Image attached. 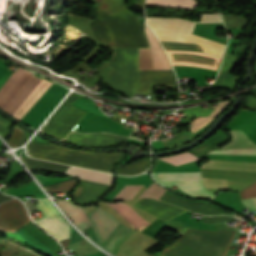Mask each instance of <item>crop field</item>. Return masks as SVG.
<instances>
[{
	"mask_svg": "<svg viewBox=\"0 0 256 256\" xmlns=\"http://www.w3.org/2000/svg\"><path fill=\"white\" fill-rule=\"evenodd\" d=\"M140 81L136 92H150L152 84L176 86L172 70H139Z\"/></svg>",
	"mask_w": 256,
	"mask_h": 256,
	"instance_id": "crop-field-14",
	"label": "crop field"
},
{
	"mask_svg": "<svg viewBox=\"0 0 256 256\" xmlns=\"http://www.w3.org/2000/svg\"><path fill=\"white\" fill-rule=\"evenodd\" d=\"M9 199H12V198H8V197L1 196V195H0V203L5 202V201H7V200H9Z\"/></svg>",
	"mask_w": 256,
	"mask_h": 256,
	"instance_id": "crop-field-39",
	"label": "crop field"
},
{
	"mask_svg": "<svg viewBox=\"0 0 256 256\" xmlns=\"http://www.w3.org/2000/svg\"><path fill=\"white\" fill-rule=\"evenodd\" d=\"M209 154H244V155H256V149H244V150H221L212 151Z\"/></svg>",
	"mask_w": 256,
	"mask_h": 256,
	"instance_id": "crop-field-33",
	"label": "crop field"
},
{
	"mask_svg": "<svg viewBox=\"0 0 256 256\" xmlns=\"http://www.w3.org/2000/svg\"><path fill=\"white\" fill-rule=\"evenodd\" d=\"M109 203L119 214L131 222L138 230H142L150 223L134 212L130 207L121 202H107Z\"/></svg>",
	"mask_w": 256,
	"mask_h": 256,
	"instance_id": "crop-field-19",
	"label": "crop field"
},
{
	"mask_svg": "<svg viewBox=\"0 0 256 256\" xmlns=\"http://www.w3.org/2000/svg\"><path fill=\"white\" fill-rule=\"evenodd\" d=\"M239 194L241 199L256 197V181L239 191Z\"/></svg>",
	"mask_w": 256,
	"mask_h": 256,
	"instance_id": "crop-field-34",
	"label": "crop field"
},
{
	"mask_svg": "<svg viewBox=\"0 0 256 256\" xmlns=\"http://www.w3.org/2000/svg\"><path fill=\"white\" fill-rule=\"evenodd\" d=\"M9 126H10V123H8L7 121H5L3 118L0 117V134L2 135L3 138Z\"/></svg>",
	"mask_w": 256,
	"mask_h": 256,
	"instance_id": "crop-field-37",
	"label": "crop field"
},
{
	"mask_svg": "<svg viewBox=\"0 0 256 256\" xmlns=\"http://www.w3.org/2000/svg\"><path fill=\"white\" fill-rule=\"evenodd\" d=\"M139 69H152L149 49H139Z\"/></svg>",
	"mask_w": 256,
	"mask_h": 256,
	"instance_id": "crop-field-31",
	"label": "crop field"
},
{
	"mask_svg": "<svg viewBox=\"0 0 256 256\" xmlns=\"http://www.w3.org/2000/svg\"><path fill=\"white\" fill-rule=\"evenodd\" d=\"M109 186L83 181L78 188L72 193L74 198L80 203H89L96 199L97 196L101 195Z\"/></svg>",
	"mask_w": 256,
	"mask_h": 256,
	"instance_id": "crop-field-17",
	"label": "crop field"
},
{
	"mask_svg": "<svg viewBox=\"0 0 256 256\" xmlns=\"http://www.w3.org/2000/svg\"><path fill=\"white\" fill-rule=\"evenodd\" d=\"M132 231V229L120 224L107 239L104 247L110 252Z\"/></svg>",
	"mask_w": 256,
	"mask_h": 256,
	"instance_id": "crop-field-25",
	"label": "crop field"
},
{
	"mask_svg": "<svg viewBox=\"0 0 256 256\" xmlns=\"http://www.w3.org/2000/svg\"><path fill=\"white\" fill-rule=\"evenodd\" d=\"M143 25L126 8L111 16L95 7L94 21L89 27L94 37L103 45L148 47Z\"/></svg>",
	"mask_w": 256,
	"mask_h": 256,
	"instance_id": "crop-field-1",
	"label": "crop field"
},
{
	"mask_svg": "<svg viewBox=\"0 0 256 256\" xmlns=\"http://www.w3.org/2000/svg\"><path fill=\"white\" fill-rule=\"evenodd\" d=\"M29 221L24 207L18 200L0 204L1 232H15Z\"/></svg>",
	"mask_w": 256,
	"mask_h": 256,
	"instance_id": "crop-field-12",
	"label": "crop field"
},
{
	"mask_svg": "<svg viewBox=\"0 0 256 256\" xmlns=\"http://www.w3.org/2000/svg\"><path fill=\"white\" fill-rule=\"evenodd\" d=\"M226 27H246V17L221 14Z\"/></svg>",
	"mask_w": 256,
	"mask_h": 256,
	"instance_id": "crop-field-30",
	"label": "crop field"
},
{
	"mask_svg": "<svg viewBox=\"0 0 256 256\" xmlns=\"http://www.w3.org/2000/svg\"><path fill=\"white\" fill-rule=\"evenodd\" d=\"M28 155L51 161L69 163L86 168L111 171L113 164L123 153H89L75 151L54 144H36L30 141L26 145Z\"/></svg>",
	"mask_w": 256,
	"mask_h": 256,
	"instance_id": "crop-field-4",
	"label": "crop field"
},
{
	"mask_svg": "<svg viewBox=\"0 0 256 256\" xmlns=\"http://www.w3.org/2000/svg\"><path fill=\"white\" fill-rule=\"evenodd\" d=\"M222 22L220 15L203 14L199 22L174 18H147V25L159 40L196 43L204 53L222 56L225 45L191 34L195 23Z\"/></svg>",
	"mask_w": 256,
	"mask_h": 256,
	"instance_id": "crop-field-2",
	"label": "crop field"
},
{
	"mask_svg": "<svg viewBox=\"0 0 256 256\" xmlns=\"http://www.w3.org/2000/svg\"><path fill=\"white\" fill-rule=\"evenodd\" d=\"M36 206L45 215L35 221L37 225L52 234L59 241L69 238V224L52 206L48 199H37Z\"/></svg>",
	"mask_w": 256,
	"mask_h": 256,
	"instance_id": "crop-field-11",
	"label": "crop field"
},
{
	"mask_svg": "<svg viewBox=\"0 0 256 256\" xmlns=\"http://www.w3.org/2000/svg\"><path fill=\"white\" fill-rule=\"evenodd\" d=\"M146 4L193 9L198 6L195 0H147Z\"/></svg>",
	"mask_w": 256,
	"mask_h": 256,
	"instance_id": "crop-field-26",
	"label": "crop field"
},
{
	"mask_svg": "<svg viewBox=\"0 0 256 256\" xmlns=\"http://www.w3.org/2000/svg\"><path fill=\"white\" fill-rule=\"evenodd\" d=\"M66 173L75 175L84 180L94 181L98 183L108 184L110 185L112 182V175L105 173H98L78 168L70 167Z\"/></svg>",
	"mask_w": 256,
	"mask_h": 256,
	"instance_id": "crop-field-20",
	"label": "crop field"
},
{
	"mask_svg": "<svg viewBox=\"0 0 256 256\" xmlns=\"http://www.w3.org/2000/svg\"><path fill=\"white\" fill-rule=\"evenodd\" d=\"M75 180L69 179L56 184L45 186L49 192L69 190L74 184Z\"/></svg>",
	"mask_w": 256,
	"mask_h": 256,
	"instance_id": "crop-field-32",
	"label": "crop field"
},
{
	"mask_svg": "<svg viewBox=\"0 0 256 256\" xmlns=\"http://www.w3.org/2000/svg\"><path fill=\"white\" fill-rule=\"evenodd\" d=\"M128 138L115 136L109 133L77 134L70 133L65 141L90 146H112L116 143L127 141Z\"/></svg>",
	"mask_w": 256,
	"mask_h": 256,
	"instance_id": "crop-field-13",
	"label": "crop field"
},
{
	"mask_svg": "<svg viewBox=\"0 0 256 256\" xmlns=\"http://www.w3.org/2000/svg\"><path fill=\"white\" fill-rule=\"evenodd\" d=\"M236 57L237 55H234V54H228V53L224 54V58L219 71V78L216 85L221 86L223 82L226 80L228 74L232 69V63Z\"/></svg>",
	"mask_w": 256,
	"mask_h": 256,
	"instance_id": "crop-field-27",
	"label": "crop field"
},
{
	"mask_svg": "<svg viewBox=\"0 0 256 256\" xmlns=\"http://www.w3.org/2000/svg\"><path fill=\"white\" fill-rule=\"evenodd\" d=\"M236 220V218L231 216H216V217H208L204 216L202 223H218L224 221Z\"/></svg>",
	"mask_w": 256,
	"mask_h": 256,
	"instance_id": "crop-field-36",
	"label": "crop field"
},
{
	"mask_svg": "<svg viewBox=\"0 0 256 256\" xmlns=\"http://www.w3.org/2000/svg\"><path fill=\"white\" fill-rule=\"evenodd\" d=\"M137 53L138 49L116 48L110 63L115 70L106 83L127 97H132L138 81Z\"/></svg>",
	"mask_w": 256,
	"mask_h": 256,
	"instance_id": "crop-field-5",
	"label": "crop field"
},
{
	"mask_svg": "<svg viewBox=\"0 0 256 256\" xmlns=\"http://www.w3.org/2000/svg\"><path fill=\"white\" fill-rule=\"evenodd\" d=\"M21 158L30 170L46 171L48 173H64L66 169L69 167L66 165L37 161L23 157Z\"/></svg>",
	"mask_w": 256,
	"mask_h": 256,
	"instance_id": "crop-field-21",
	"label": "crop field"
},
{
	"mask_svg": "<svg viewBox=\"0 0 256 256\" xmlns=\"http://www.w3.org/2000/svg\"><path fill=\"white\" fill-rule=\"evenodd\" d=\"M232 134V140L230 143H227L223 145L220 148H216V150L220 149H243V148H256V145H254L248 137L245 135L244 132L233 130L230 131Z\"/></svg>",
	"mask_w": 256,
	"mask_h": 256,
	"instance_id": "crop-field-22",
	"label": "crop field"
},
{
	"mask_svg": "<svg viewBox=\"0 0 256 256\" xmlns=\"http://www.w3.org/2000/svg\"><path fill=\"white\" fill-rule=\"evenodd\" d=\"M247 207L256 210V198L241 200Z\"/></svg>",
	"mask_w": 256,
	"mask_h": 256,
	"instance_id": "crop-field-38",
	"label": "crop field"
},
{
	"mask_svg": "<svg viewBox=\"0 0 256 256\" xmlns=\"http://www.w3.org/2000/svg\"><path fill=\"white\" fill-rule=\"evenodd\" d=\"M172 65L199 66L216 70L221 58L204 54L195 45L161 42Z\"/></svg>",
	"mask_w": 256,
	"mask_h": 256,
	"instance_id": "crop-field-8",
	"label": "crop field"
},
{
	"mask_svg": "<svg viewBox=\"0 0 256 256\" xmlns=\"http://www.w3.org/2000/svg\"><path fill=\"white\" fill-rule=\"evenodd\" d=\"M134 206L138 207L139 209L149 213L150 215L163 219V220H170L179 214L185 212L186 210L162 204L150 199L140 200Z\"/></svg>",
	"mask_w": 256,
	"mask_h": 256,
	"instance_id": "crop-field-15",
	"label": "crop field"
},
{
	"mask_svg": "<svg viewBox=\"0 0 256 256\" xmlns=\"http://www.w3.org/2000/svg\"><path fill=\"white\" fill-rule=\"evenodd\" d=\"M23 130L17 128V127H14L13 131H12V134L8 140V142L10 143V145L12 147H17L18 144H19V141L22 137V134H23Z\"/></svg>",
	"mask_w": 256,
	"mask_h": 256,
	"instance_id": "crop-field-35",
	"label": "crop field"
},
{
	"mask_svg": "<svg viewBox=\"0 0 256 256\" xmlns=\"http://www.w3.org/2000/svg\"><path fill=\"white\" fill-rule=\"evenodd\" d=\"M41 77L18 68L0 85V108L12 113Z\"/></svg>",
	"mask_w": 256,
	"mask_h": 256,
	"instance_id": "crop-field-6",
	"label": "crop field"
},
{
	"mask_svg": "<svg viewBox=\"0 0 256 256\" xmlns=\"http://www.w3.org/2000/svg\"><path fill=\"white\" fill-rule=\"evenodd\" d=\"M228 102L229 100L219 103L217 107L212 111V113L205 118L202 116H198L192 122H190L189 125L191 127V132L194 133L202 127L208 125L213 120V118L220 113V111L226 106Z\"/></svg>",
	"mask_w": 256,
	"mask_h": 256,
	"instance_id": "crop-field-24",
	"label": "crop field"
},
{
	"mask_svg": "<svg viewBox=\"0 0 256 256\" xmlns=\"http://www.w3.org/2000/svg\"><path fill=\"white\" fill-rule=\"evenodd\" d=\"M145 33L150 44V51L152 57L153 70H167L171 69L169 61L160 47L154 34L145 26Z\"/></svg>",
	"mask_w": 256,
	"mask_h": 256,
	"instance_id": "crop-field-18",
	"label": "crop field"
},
{
	"mask_svg": "<svg viewBox=\"0 0 256 256\" xmlns=\"http://www.w3.org/2000/svg\"><path fill=\"white\" fill-rule=\"evenodd\" d=\"M68 240H69V239H68ZM68 240L61 241V244L63 245L64 248H67Z\"/></svg>",
	"mask_w": 256,
	"mask_h": 256,
	"instance_id": "crop-field-40",
	"label": "crop field"
},
{
	"mask_svg": "<svg viewBox=\"0 0 256 256\" xmlns=\"http://www.w3.org/2000/svg\"><path fill=\"white\" fill-rule=\"evenodd\" d=\"M149 165V159H142L132 165L119 167L117 172L125 175H134L143 172Z\"/></svg>",
	"mask_w": 256,
	"mask_h": 256,
	"instance_id": "crop-field-28",
	"label": "crop field"
},
{
	"mask_svg": "<svg viewBox=\"0 0 256 256\" xmlns=\"http://www.w3.org/2000/svg\"><path fill=\"white\" fill-rule=\"evenodd\" d=\"M78 97L79 96L71 93L48 120L42 131L58 139L65 138L85 113V111L71 105Z\"/></svg>",
	"mask_w": 256,
	"mask_h": 256,
	"instance_id": "crop-field-9",
	"label": "crop field"
},
{
	"mask_svg": "<svg viewBox=\"0 0 256 256\" xmlns=\"http://www.w3.org/2000/svg\"><path fill=\"white\" fill-rule=\"evenodd\" d=\"M152 177L162 185L169 188L175 185L194 197L213 199L215 196L203 187L200 172L153 173Z\"/></svg>",
	"mask_w": 256,
	"mask_h": 256,
	"instance_id": "crop-field-10",
	"label": "crop field"
},
{
	"mask_svg": "<svg viewBox=\"0 0 256 256\" xmlns=\"http://www.w3.org/2000/svg\"><path fill=\"white\" fill-rule=\"evenodd\" d=\"M159 159H161L163 161H166L168 163H171V164H175V165L190 162V161H194V160H198V158H196L195 156H193L189 152L179 154V155H176V156H172V157H164V158H159Z\"/></svg>",
	"mask_w": 256,
	"mask_h": 256,
	"instance_id": "crop-field-29",
	"label": "crop field"
},
{
	"mask_svg": "<svg viewBox=\"0 0 256 256\" xmlns=\"http://www.w3.org/2000/svg\"><path fill=\"white\" fill-rule=\"evenodd\" d=\"M236 230L206 232L189 229L160 256H224Z\"/></svg>",
	"mask_w": 256,
	"mask_h": 256,
	"instance_id": "crop-field-3",
	"label": "crop field"
},
{
	"mask_svg": "<svg viewBox=\"0 0 256 256\" xmlns=\"http://www.w3.org/2000/svg\"><path fill=\"white\" fill-rule=\"evenodd\" d=\"M95 3L97 7L106 11L109 14H114L119 10L125 8L127 0H90ZM137 6L143 7L144 0H136Z\"/></svg>",
	"mask_w": 256,
	"mask_h": 256,
	"instance_id": "crop-field-23",
	"label": "crop field"
},
{
	"mask_svg": "<svg viewBox=\"0 0 256 256\" xmlns=\"http://www.w3.org/2000/svg\"><path fill=\"white\" fill-rule=\"evenodd\" d=\"M61 208L70 216V218L83 230L90 225L83 210L74 206L69 200L57 201ZM95 235L100 242L106 241L112 231L120 224L114 217L100 208H96L91 214L87 215Z\"/></svg>",
	"mask_w": 256,
	"mask_h": 256,
	"instance_id": "crop-field-7",
	"label": "crop field"
},
{
	"mask_svg": "<svg viewBox=\"0 0 256 256\" xmlns=\"http://www.w3.org/2000/svg\"><path fill=\"white\" fill-rule=\"evenodd\" d=\"M148 256H153L152 254L148 255Z\"/></svg>",
	"mask_w": 256,
	"mask_h": 256,
	"instance_id": "crop-field-41",
	"label": "crop field"
},
{
	"mask_svg": "<svg viewBox=\"0 0 256 256\" xmlns=\"http://www.w3.org/2000/svg\"><path fill=\"white\" fill-rule=\"evenodd\" d=\"M161 201L176 205V206H180L183 208H186L188 210H191L193 212H196L198 214H202V215H217V214H224L221 211H219L217 208L206 204L204 202H194V203H190L187 202L185 200H181L179 198H177L174 195H170L168 193L165 192V194L161 197L160 199Z\"/></svg>",
	"mask_w": 256,
	"mask_h": 256,
	"instance_id": "crop-field-16",
	"label": "crop field"
}]
</instances>
